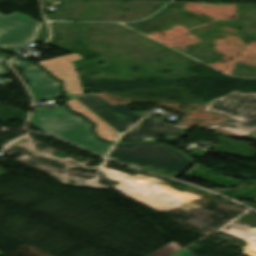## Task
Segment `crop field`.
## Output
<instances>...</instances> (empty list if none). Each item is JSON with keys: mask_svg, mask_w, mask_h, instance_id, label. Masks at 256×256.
<instances>
[{"mask_svg": "<svg viewBox=\"0 0 256 256\" xmlns=\"http://www.w3.org/2000/svg\"><path fill=\"white\" fill-rule=\"evenodd\" d=\"M30 123L39 130L58 136L107 156L112 144L97 140L92 125L70 113L65 106L32 113Z\"/></svg>", "mask_w": 256, "mask_h": 256, "instance_id": "obj_1", "label": "crop field"}, {"mask_svg": "<svg viewBox=\"0 0 256 256\" xmlns=\"http://www.w3.org/2000/svg\"><path fill=\"white\" fill-rule=\"evenodd\" d=\"M108 158L142 170L145 164L174 170L177 177L193 162L182 153L157 143L114 146Z\"/></svg>", "mask_w": 256, "mask_h": 256, "instance_id": "obj_2", "label": "crop field"}, {"mask_svg": "<svg viewBox=\"0 0 256 256\" xmlns=\"http://www.w3.org/2000/svg\"><path fill=\"white\" fill-rule=\"evenodd\" d=\"M96 94L79 95L73 97L106 121L118 132L122 133L128 130L136 122L143 118V116L133 114L130 111L131 107L123 104L112 106L107 100Z\"/></svg>", "mask_w": 256, "mask_h": 256, "instance_id": "obj_3", "label": "crop field"}, {"mask_svg": "<svg viewBox=\"0 0 256 256\" xmlns=\"http://www.w3.org/2000/svg\"><path fill=\"white\" fill-rule=\"evenodd\" d=\"M41 22L19 12L0 14V47H22L35 40Z\"/></svg>", "mask_w": 256, "mask_h": 256, "instance_id": "obj_4", "label": "crop field"}, {"mask_svg": "<svg viewBox=\"0 0 256 256\" xmlns=\"http://www.w3.org/2000/svg\"><path fill=\"white\" fill-rule=\"evenodd\" d=\"M190 127L164 123L158 119L145 118L131 131L120 137L117 143L137 141H157L160 135L179 139L186 135Z\"/></svg>", "mask_w": 256, "mask_h": 256, "instance_id": "obj_5", "label": "crop field"}, {"mask_svg": "<svg viewBox=\"0 0 256 256\" xmlns=\"http://www.w3.org/2000/svg\"><path fill=\"white\" fill-rule=\"evenodd\" d=\"M78 59H82V57L74 53L36 62V64L40 65L56 79L62 80L64 83V91H67L65 96L78 95L84 94L76 67L72 63V61Z\"/></svg>", "mask_w": 256, "mask_h": 256, "instance_id": "obj_6", "label": "crop field"}, {"mask_svg": "<svg viewBox=\"0 0 256 256\" xmlns=\"http://www.w3.org/2000/svg\"><path fill=\"white\" fill-rule=\"evenodd\" d=\"M12 64L24 69L23 75L30 83L34 84L28 87L33 95L34 102L62 96L60 82L53 79L39 67L17 59L13 60ZM19 64L21 65L19 66Z\"/></svg>", "mask_w": 256, "mask_h": 256, "instance_id": "obj_7", "label": "crop field"}, {"mask_svg": "<svg viewBox=\"0 0 256 256\" xmlns=\"http://www.w3.org/2000/svg\"><path fill=\"white\" fill-rule=\"evenodd\" d=\"M256 107V93L243 94L236 91L211 101L206 108L233 116H241Z\"/></svg>", "mask_w": 256, "mask_h": 256, "instance_id": "obj_8", "label": "crop field"}, {"mask_svg": "<svg viewBox=\"0 0 256 256\" xmlns=\"http://www.w3.org/2000/svg\"><path fill=\"white\" fill-rule=\"evenodd\" d=\"M67 106L70 110L77 112L83 116H85L92 123H96L94 131L99 136L100 139L114 142L117 137L120 135L117 131H115L111 126H109L106 122L84 107L75 99L66 101Z\"/></svg>", "mask_w": 256, "mask_h": 256, "instance_id": "obj_9", "label": "crop field"}, {"mask_svg": "<svg viewBox=\"0 0 256 256\" xmlns=\"http://www.w3.org/2000/svg\"><path fill=\"white\" fill-rule=\"evenodd\" d=\"M210 128L227 131L245 137L256 130V108L242 115L237 119V121H230L223 125L213 126Z\"/></svg>", "mask_w": 256, "mask_h": 256, "instance_id": "obj_10", "label": "crop field"}, {"mask_svg": "<svg viewBox=\"0 0 256 256\" xmlns=\"http://www.w3.org/2000/svg\"><path fill=\"white\" fill-rule=\"evenodd\" d=\"M181 248L183 247L172 241L167 245L161 247L157 251L153 252L149 256H170L171 254L179 251Z\"/></svg>", "mask_w": 256, "mask_h": 256, "instance_id": "obj_11", "label": "crop field"}, {"mask_svg": "<svg viewBox=\"0 0 256 256\" xmlns=\"http://www.w3.org/2000/svg\"><path fill=\"white\" fill-rule=\"evenodd\" d=\"M176 256H195V255L190 250L186 249L180 252L179 254H177Z\"/></svg>", "mask_w": 256, "mask_h": 256, "instance_id": "obj_12", "label": "crop field"}, {"mask_svg": "<svg viewBox=\"0 0 256 256\" xmlns=\"http://www.w3.org/2000/svg\"><path fill=\"white\" fill-rule=\"evenodd\" d=\"M246 138L256 140V132H254V133L248 135Z\"/></svg>", "mask_w": 256, "mask_h": 256, "instance_id": "obj_13", "label": "crop field"}, {"mask_svg": "<svg viewBox=\"0 0 256 256\" xmlns=\"http://www.w3.org/2000/svg\"><path fill=\"white\" fill-rule=\"evenodd\" d=\"M5 74H10V73L7 72L5 69H3V68L0 66V75H5Z\"/></svg>", "mask_w": 256, "mask_h": 256, "instance_id": "obj_14", "label": "crop field"}, {"mask_svg": "<svg viewBox=\"0 0 256 256\" xmlns=\"http://www.w3.org/2000/svg\"><path fill=\"white\" fill-rule=\"evenodd\" d=\"M205 110H207V109H205ZM207 111H211V110H207ZM212 112H215V111H212ZM216 113H218V112H216ZM220 114H222V113H220ZM223 115H226V114H223ZM226 116L237 119V117H233V116H229V115H226Z\"/></svg>", "mask_w": 256, "mask_h": 256, "instance_id": "obj_15", "label": "crop field"}, {"mask_svg": "<svg viewBox=\"0 0 256 256\" xmlns=\"http://www.w3.org/2000/svg\"><path fill=\"white\" fill-rule=\"evenodd\" d=\"M4 172H6V171H5V170L0 169V175H1L2 173H4Z\"/></svg>", "mask_w": 256, "mask_h": 256, "instance_id": "obj_16", "label": "crop field"}, {"mask_svg": "<svg viewBox=\"0 0 256 256\" xmlns=\"http://www.w3.org/2000/svg\"><path fill=\"white\" fill-rule=\"evenodd\" d=\"M256 201V200H255Z\"/></svg>", "mask_w": 256, "mask_h": 256, "instance_id": "obj_17", "label": "crop field"}]
</instances>
